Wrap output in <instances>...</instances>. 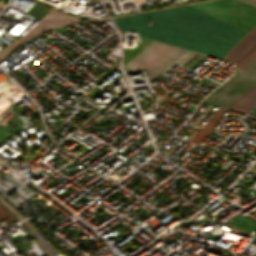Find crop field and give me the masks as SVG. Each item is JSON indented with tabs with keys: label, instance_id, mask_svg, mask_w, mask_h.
I'll return each instance as SVG.
<instances>
[{
	"label": "crop field",
	"instance_id": "8a807250",
	"mask_svg": "<svg viewBox=\"0 0 256 256\" xmlns=\"http://www.w3.org/2000/svg\"><path fill=\"white\" fill-rule=\"evenodd\" d=\"M119 30L222 58L246 32L189 5L114 18ZM153 20L152 26H147Z\"/></svg>",
	"mask_w": 256,
	"mask_h": 256
},
{
	"label": "crop field",
	"instance_id": "ac0d7876",
	"mask_svg": "<svg viewBox=\"0 0 256 256\" xmlns=\"http://www.w3.org/2000/svg\"><path fill=\"white\" fill-rule=\"evenodd\" d=\"M190 5L247 32L256 25V8L235 0H217Z\"/></svg>",
	"mask_w": 256,
	"mask_h": 256
},
{
	"label": "crop field",
	"instance_id": "34b2d1b8",
	"mask_svg": "<svg viewBox=\"0 0 256 256\" xmlns=\"http://www.w3.org/2000/svg\"><path fill=\"white\" fill-rule=\"evenodd\" d=\"M256 84V56L236 75L213 91L203 103L226 108L243 92Z\"/></svg>",
	"mask_w": 256,
	"mask_h": 256
},
{
	"label": "crop field",
	"instance_id": "412701ff",
	"mask_svg": "<svg viewBox=\"0 0 256 256\" xmlns=\"http://www.w3.org/2000/svg\"><path fill=\"white\" fill-rule=\"evenodd\" d=\"M78 18L69 16L63 12L51 8L37 23H35L20 39L12 43L6 49L0 51V57L21 43L23 40L39 33L40 31L66 23L77 21Z\"/></svg>",
	"mask_w": 256,
	"mask_h": 256
},
{
	"label": "crop field",
	"instance_id": "f4fd0767",
	"mask_svg": "<svg viewBox=\"0 0 256 256\" xmlns=\"http://www.w3.org/2000/svg\"><path fill=\"white\" fill-rule=\"evenodd\" d=\"M256 55V26L250 30L225 56L240 69Z\"/></svg>",
	"mask_w": 256,
	"mask_h": 256
},
{
	"label": "crop field",
	"instance_id": "dd49c442",
	"mask_svg": "<svg viewBox=\"0 0 256 256\" xmlns=\"http://www.w3.org/2000/svg\"><path fill=\"white\" fill-rule=\"evenodd\" d=\"M195 54V52L175 48L169 54H167L156 66L147 72L149 81L153 80L157 75H159L163 70H165L175 61L183 64Z\"/></svg>",
	"mask_w": 256,
	"mask_h": 256
},
{
	"label": "crop field",
	"instance_id": "e52e79f7",
	"mask_svg": "<svg viewBox=\"0 0 256 256\" xmlns=\"http://www.w3.org/2000/svg\"><path fill=\"white\" fill-rule=\"evenodd\" d=\"M172 49H174V47L161 44L151 54H149L142 62H140L134 69H132L128 73L137 72V71H141V70L148 71L155 64H157Z\"/></svg>",
	"mask_w": 256,
	"mask_h": 256
},
{
	"label": "crop field",
	"instance_id": "d8731c3e",
	"mask_svg": "<svg viewBox=\"0 0 256 256\" xmlns=\"http://www.w3.org/2000/svg\"><path fill=\"white\" fill-rule=\"evenodd\" d=\"M256 105V85L245 92L235 102H233L227 109L247 113L253 106Z\"/></svg>",
	"mask_w": 256,
	"mask_h": 256
},
{
	"label": "crop field",
	"instance_id": "5a996713",
	"mask_svg": "<svg viewBox=\"0 0 256 256\" xmlns=\"http://www.w3.org/2000/svg\"><path fill=\"white\" fill-rule=\"evenodd\" d=\"M225 111V109L218 108L217 111L212 115V117L207 121V123L200 129V131L193 137L191 141L199 144L205 138L210 129L219 121Z\"/></svg>",
	"mask_w": 256,
	"mask_h": 256
},
{
	"label": "crop field",
	"instance_id": "3316defc",
	"mask_svg": "<svg viewBox=\"0 0 256 256\" xmlns=\"http://www.w3.org/2000/svg\"><path fill=\"white\" fill-rule=\"evenodd\" d=\"M159 45V43L152 42L149 46H147L143 51H141L136 57H134L129 63L125 65L126 72L134 68L140 61H142L149 53H151Z\"/></svg>",
	"mask_w": 256,
	"mask_h": 256
},
{
	"label": "crop field",
	"instance_id": "28ad6ade",
	"mask_svg": "<svg viewBox=\"0 0 256 256\" xmlns=\"http://www.w3.org/2000/svg\"><path fill=\"white\" fill-rule=\"evenodd\" d=\"M4 217H8V218H6V219L8 220L9 223L16 221V219H15L6 209H4V208L0 205V219H2V218H4Z\"/></svg>",
	"mask_w": 256,
	"mask_h": 256
},
{
	"label": "crop field",
	"instance_id": "d1516ede",
	"mask_svg": "<svg viewBox=\"0 0 256 256\" xmlns=\"http://www.w3.org/2000/svg\"><path fill=\"white\" fill-rule=\"evenodd\" d=\"M238 1H241L243 3H246V4H249V5H252V6L256 7V0H238Z\"/></svg>",
	"mask_w": 256,
	"mask_h": 256
},
{
	"label": "crop field",
	"instance_id": "22f410ed",
	"mask_svg": "<svg viewBox=\"0 0 256 256\" xmlns=\"http://www.w3.org/2000/svg\"><path fill=\"white\" fill-rule=\"evenodd\" d=\"M190 146H191V144L187 143V144L181 149V151L185 152Z\"/></svg>",
	"mask_w": 256,
	"mask_h": 256
},
{
	"label": "crop field",
	"instance_id": "cbeb9de0",
	"mask_svg": "<svg viewBox=\"0 0 256 256\" xmlns=\"http://www.w3.org/2000/svg\"><path fill=\"white\" fill-rule=\"evenodd\" d=\"M6 1H7V0H2V1L0 2V9L3 7V5L6 3Z\"/></svg>",
	"mask_w": 256,
	"mask_h": 256
},
{
	"label": "crop field",
	"instance_id": "5142ce71",
	"mask_svg": "<svg viewBox=\"0 0 256 256\" xmlns=\"http://www.w3.org/2000/svg\"><path fill=\"white\" fill-rule=\"evenodd\" d=\"M252 112H255V113H256V107L253 108Z\"/></svg>",
	"mask_w": 256,
	"mask_h": 256
}]
</instances>
